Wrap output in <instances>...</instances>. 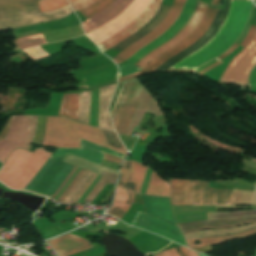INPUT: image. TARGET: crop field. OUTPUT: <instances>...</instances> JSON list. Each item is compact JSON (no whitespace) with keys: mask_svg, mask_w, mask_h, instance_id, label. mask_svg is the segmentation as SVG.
Segmentation results:
<instances>
[{"mask_svg":"<svg viewBox=\"0 0 256 256\" xmlns=\"http://www.w3.org/2000/svg\"><path fill=\"white\" fill-rule=\"evenodd\" d=\"M80 138L124 155L127 153L115 132L86 126L68 118L47 117L42 145L56 148H79Z\"/></svg>","mask_w":256,"mask_h":256,"instance_id":"8a807250","label":"crop field"},{"mask_svg":"<svg viewBox=\"0 0 256 256\" xmlns=\"http://www.w3.org/2000/svg\"><path fill=\"white\" fill-rule=\"evenodd\" d=\"M121 84L122 83L118 84L110 105L111 117L120 91ZM141 88L142 86L137 81V79L125 81L123 83L121 93L112 118L117 134H127ZM145 112L152 113L155 115V117L162 116V113L159 110L156 101L142 88L135 109V113L127 134L128 136L130 135L133 127L138 126Z\"/></svg>","mask_w":256,"mask_h":256,"instance_id":"ac0d7876","label":"crop field"},{"mask_svg":"<svg viewBox=\"0 0 256 256\" xmlns=\"http://www.w3.org/2000/svg\"><path fill=\"white\" fill-rule=\"evenodd\" d=\"M251 7H252V3L250 0H235V11H234V15H233L234 0H231L229 14H228L223 26L218 31L217 35L213 39H211L200 50L196 51L195 53H193L190 56L186 57L185 59L181 60L180 62H178L176 65H174L171 68L177 67L179 64H181L185 60L189 59L193 55L197 54L198 52L202 51L203 49H205L206 47L211 45L223 32L224 28L230 22L232 15H233L231 22L225 28L222 35L211 46H209L202 52L198 53L194 57L190 58L189 60L185 61L177 68L196 69V68L202 66L203 64L207 63L208 61L221 55L225 51H227L228 48L231 45H233L235 43V41L241 35V33L247 23V20L249 18V15L251 12Z\"/></svg>","mask_w":256,"mask_h":256,"instance_id":"34b2d1b8","label":"crop field"},{"mask_svg":"<svg viewBox=\"0 0 256 256\" xmlns=\"http://www.w3.org/2000/svg\"><path fill=\"white\" fill-rule=\"evenodd\" d=\"M50 155L43 148L35 149L33 154L14 150L0 170V181L11 189L23 190Z\"/></svg>","mask_w":256,"mask_h":256,"instance_id":"412701ff","label":"crop field"},{"mask_svg":"<svg viewBox=\"0 0 256 256\" xmlns=\"http://www.w3.org/2000/svg\"><path fill=\"white\" fill-rule=\"evenodd\" d=\"M147 167H142L137 162H124L116 188L115 198L112 208L107 214L119 219L123 217L131 206L133 193H139L142 180Z\"/></svg>","mask_w":256,"mask_h":256,"instance_id":"f4fd0767","label":"crop field"},{"mask_svg":"<svg viewBox=\"0 0 256 256\" xmlns=\"http://www.w3.org/2000/svg\"><path fill=\"white\" fill-rule=\"evenodd\" d=\"M37 116L15 115L11 117L5 140L0 139V161L4 163L15 148L31 152V137L36 129Z\"/></svg>","mask_w":256,"mask_h":256,"instance_id":"dd49c442","label":"crop field"},{"mask_svg":"<svg viewBox=\"0 0 256 256\" xmlns=\"http://www.w3.org/2000/svg\"><path fill=\"white\" fill-rule=\"evenodd\" d=\"M63 157H50L39 170V172L25 187V189L52 196V194L55 192V190L59 187V185L73 168V166L61 161ZM33 191L29 192L43 195ZM48 195L43 196H47L50 198V196Z\"/></svg>","mask_w":256,"mask_h":256,"instance_id":"e52e79f7","label":"crop field"},{"mask_svg":"<svg viewBox=\"0 0 256 256\" xmlns=\"http://www.w3.org/2000/svg\"><path fill=\"white\" fill-rule=\"evenodd\" d=\"M72 12L69 5L58 10L44 13H40L38 7L0 12V30L59 19Z\"/></svg>","mask_w":256,"mask_h":256,"instance_id":"d8731c3e","label":"crop field"},{"mask_svg":"<svg viewBox=\"0 0 256 256\" xmlns=\"http://www.w3.org/2000/svg\"><path fill=\"white\" fill-rule=\"evenodd\" d=\"M256 63V31L247 46L232 59L219 81L243 86Z\"/></svg>","mask_w":256,"mask_h":256,"instance_id":"5a996713","label":"crop field"},{"mask_svg":"<svg viewBox=\"0 0 256 256\" xmlns=\"http://www.w3.org/2000/svg\"><path fill=\"white\" fill-rule=\"evenodd\" d=\"M217 9L207 7L203 18L201 19L200 23L198 24L197 28L188 35L185 39H183L179 44L162 54L161 56L155 58L151 63H149L142 71L119 78L118 81H125L137 76H140L146 72H151L160 66L163 62L168 60L170 57L176 55L177 53L184 50L189 45L193 44L199 37H201L209 27Z\"/></svg>","mask_w":256,"mask_h":256,"instance_id":"3316defc","label":"crop field"},{"mask_svg":"<svg viewBox=\"0 0 256 256\" xmlns=\"http://www.w3.org/2000/svg\"><path fill=\"white\" fill-rule=\"evenodd\" d=\"M149 2L150 0H134V2L117 18L87 35L95 44H100L135 20L148 6Z\"/></svg>","mask_w":256,"mask_h":256,"instance_id":"28ad6ade","label":"crop field"},{"mask_svg":"<svg viewBox=\"0 0 256 256\" xmlns=\"http://www.w3.org/2000/svg\"><path fill=\"white\" fill-rule=\"evenodd\" d=\"M207 7V4L201 2L198 0L196 7L187 21V23L167 42L162 44L161 46L157 47L150 53H148L146 56H144L142 59H140L138 62L135 63L137 67H140L141 70L147 65L149 61H152L155 57L161 55L165 51H167L169 48L177 44L179 41H181L185 36L191 33V31L197 26L199 23L203 12L205 11Z\"/></svg>","mask_w":256,"mask_h":256,"instance_id":"d1516ede","label":"crop field"},{"mask_svg":"<svg viewBox=\"0 0 256 256\" xmlns=\"http://www.w3.org/2000/svg\"><path fill=\"white\" fill-rule=\"evenodd\" d=\"M192 205L234 206L233 190H214L208 182L192 181Z\"/></svg>","mask_w":256,"mask_h":256,"instance_id":"22f410ed","label":"crop field"},{"mask_svg":"<svg viewBox=\"0 0 256 256\" xmlns=\"http://www.w3.org/2000/svg\"><path fill=\"white\" fill-rule=\"evenodd\" d=\"M131 225L160 234L172 241L186 246V242L182 234L178 231L175 225L162 221L148 214L137 212Z\"/></svg>","mask_w":256,"mask_h":256,"instance_id":"cbeb9de0","label":"crop field"},{"mask_svg":"<svg viewBox=\"0 0 256 256\" xmlns=\"http://www.w3.org/2000/svg\"><path fill=\"white\" fill-rule=\"evenodd\" d=\"M185 0H175L165 20L151 33L122 51L113 61L118 64L125 61L129 56L135 53L137 50L145 46L147 43L164 33L177 19Z\"/></svg>","mask_w":256,"mask_h":256,"instance_id":"5142ce71","label":"crop field"},{"mask_svg":"<svg viewBox=\"0 0 256 256\" xmlns=\"http://www.w3.org/2000/svg\"><path fill=\"white\" fill-rule=\"evenodd\" d=\"M161 1L162 0H151L150 5L140 14V16L134 22L129 24L127 27L122 29L113 37L98 45L100 51L103 52L109 49L110 47L114 46L115 44L119 43L123 39L136 32L154 15V13L158 10Z\"/></svg>","mask_w":256,"mask_h":256,"instance_id":"d9b57169","label":"crop field"},{"mask_svg":"<svg viewBox=\"0 0 256 256\" xmlns=\"http://www.w3.org/2000/svg\"><path fill=\"white\" fill-rule=\"evenodd\" d=\"M256 222V216L242 219L197 221L179 224L183 234L204 229H229Z\"/></svg>","mask_w":256,"mask_h":256,"instance_id":"733c2abd","label":"crop field"},{"mask_svg":"<svg viewBox=\"0 0 256 256\" xmlns=\"http://www.w3.org/2000/svg\"><path fill=\"white\" fill-rule=\"evenodd\" d=\"M80 145H81L80 149H57L56 152L52 154V156H62V155H65L66 153H69V154H72L74 156L83 158V159L91 161V162H94L99 165H100L102 157H103V154L100 153L101 151L124 158L123 155H121L117 152H114L108 148H103L99 145L87 142L82 139H81Z\"/></svg>","mask_w":256,"mask_h":256,"instance_id":"4a817a6b","label":"crop field"},{"mask_svg":"<svg viewBox=\"0 0 256 256\" xmlns=\"http://www.w3.org/2000/svg\"><path fill=\"white\" fill-rule=\"evenodd\" d=\"M133 0H115L106 9L98 12L87 21L82 23L84 31L89 33L123 12Z\"/></svg>","mask_w":256,"mask_h":256,"instance_id":"bc2a9ffb","label":"crop field"},{"mask_svg":"<svg viewBox=\"0 0 256 256\" xmlns=\"http://www.w3.org/2000/svg\"><path fill=\"white\" fill-rule=\"evenodd\" d=\"M47 243L57 252L58 256H70L92 247L85 239L70 234L47 241Z\"/></svg>","mask_w":256,"mask_h":256,"instance_id":"214f88e0","label":"crop field"},{"mask_svg":"<svg viewBox=\"0 0 256 256\" xmlns=\"http://www.w3.org/2000/svg\"><path fill=\"white\" fill-rule=\"evenodd\" d=\"M146 213L175 224L169 198L141 194Z\"/></svg>","mask_w":256,"mask_h":256,"instance_id":"92a150f3","label":"crop field"},{"mask_svg":"<svg viewBox=\"0 0 256 256\" xmlns=\"http://www.w3.org/2000/svg\"><path fill=\"white\" fill-rule=\"evenodd\" d=\"M169 9L170 7L168 6L160 7L155 16L145 26H143L140 30H138L129 38L114 46L113 49L123 50L132 43L136 42L137 40L145 36L146 34H148L151 30H153L159 23H161L164 20Z\"/></svg>","mask_w":256,"mask_h":256,"instance_id":"dafd665d","label":"crop field"},{"mask_svg":"<svg viewBox=\"0 0 256 256\" xmlns=\"http://www.w3.org/2000/svg\"><path fill=\"white\" fill-rule=\"evenodd\" d=\"M172 205H191V181L171 179Z\"/></svg>","mask_w":256,"mask_h":256,"instance_id":"00972430","label":"crop field"},{"mask_svg":"<svg viewBox=\"0 0 256 256\" xmlns=\"http://www.w3.org/2000/svg\"><path fill=\"white\" fill-rule=\"evenodd\" d=\"M96 176L97 174L84 170L61 202L68 203L69 200L77 202Z\"/></svg>","mask_w":256,"mask_h":256,"instance_id":"a9b5d70f","label":"crop field"},{"mask_svg":"<svg viewBox=\"0 0 256 256\" xmlns=\"http://www.w3.org/2000/svg\"><path fill=\"white\" fill-rule=\"evenodd\" d=\"M115 85L100 89V104H99V127L113 130L111 120L108 114V105L113 94Z\"/></svg>","mask_w":256,"mask_h":256,"instance_id":"4177f3b9","label":"crop field"},{"mask_svg":"<svg viewBox=\"0 0 256 256\" xmlns=\"http://www.w3.org/2000/svg\"><path fill=\"white\" fill-rule=\"evenodd\" d=\"M79 97L80 93L64 94L60 112L58 115L68 116L77 120Z\"/></svg>","mask_w":256,"mask_h":256,"instance_id":"730fd06b","label":"crop field"},{"mask_svg":"<svg viewBox=\"0 0 256 256\" xmlns=\"http://www.w3.org/2000/svg\"><path fill=\"white\" fill-rule=\"evenodd\" d=\"M256 227L255 224L235 228V229H229V230H211V231H202V232H195L190 234H185V239H200V238H206L209 236H224L229 234H235L239 232H244L246 230L252 229Z\"/></svg>","mask_w":256,"mask_h":256,"instance_id":"eef30255","label":"crop field"},{"mask_svg":"<svg viewBox=\"0 0 256 256\" xmlns=\"http://www.w3.org/2000/svg\"><path fill=\"white\" fill-rule=\"evenodd\" d=\"M253 234H256V229L249 230L247 232L237 234V235H232V236L201 239L200 240L201 245H194V243H193L194 240H189L187 242H188L189 247L197 248V247L217 245V244H221V243H224V242H228V241L236 240V239L243 238V237H246V236H250V235H253Z\"/></svg>","mask_w":256,"mask_h":256,"instance_id":"ae1a2a85","label":"crop field"},{"mask_svg":"<svg viewBox=\"0 0 256 256\" xmlns=\"http://www.w3.org/2000/svg\"><path fill=\"white\" fill-rule=\"evenodd\" d=\"M148 195H159L169 197L170 189L167 183L163 182L156 174L153 172L151 177L149 187L147 190Z\"/></svg>","mask_w":256,"mask_h":256,"instance_id":"d3111659","label":"crop field"},{"mask_svg":"<svg viewBox=\"0 0 256 256\" xmlns=\"http://www.w3.org/2000/svg\"><path fill=\"white\" fill-rule=\"evenodd\" d=\"M116 177L117 175L115 174H110L102 171L101 179L97 182V184L94 186V188L91 190V192L88 194L84 201L91 202L106 183L114 185Z\"/></svg>","mask_w":256,"mask_h":256,"instance_id":"750c4746","label":"crop field"},{"mask_svg":"<svg viewBox=\"0 0 256 256\" xmlns=\"http://www.w3.org/2000/svg\"><path fill=\"white\" fill-rule=\"evenodd\" d=\"M207 220L214 219H230V218H241L256 215V211H241V212H210L206 213Z\"/></svg>","mask_w":256,"mask_h":256,"instance_id":"bd1437ed","label":"crop field"},{"mask_svg":"<svg viewBox=\"0 0 256 256\" xmlns=\"http://www.w3.org/2000/svg\"><path fill=\"white\" fill-rule=\"evenodd\" d=\"M38 0H0V11L38 6Z\"/></svg>","mask_w":256,"mask_h":256,"instance_id":"1d83c4d3","label":"crop field"},{"mask_svg":"<svg viewBox=\"0 0 256 256\" xmlns=\"http://www.w3.org/2000/svg\"><path fill=\"white\" fill-rule=\"evenodd\" d=\"M14 42L21 49L46 43L41 33L30 35V36L21 37V38H19L17 40H14Z\"/></svg>","mask_w":256,"mask_h":256,"instance_id":"120bbe31","label":"crop field"},{"mask_svg":"<svg viewBox=\"0 0 256 256\" xmlns=\"http://www.w3.org/2000/svg\"><path fill=\"white\" fill-rule=\"evenodd\" d=\"M90 92H82L78 120L88 124Z\"/></svg>","mask_w":256,"mask_h":256,"instance_id":"d32e631a","label":"crop field"},{"mask_svg":"<svg viewBox=\"0 0 256 256\" xmlns=\"http://www.w3.org/2000/svg\"><path fill=\"white\" fill-rule=\"evenodd\" d=\"M114 0H100L93 4L92 6L83 9L81 11H78L83 17L86 19L90 18L92 15H94L96 12L106 8L108 5H110ZM97 14V13H96Z\"/></svg>","mask_w":256,"mask_h":256,"instance_id":"5866460e","label":"crop field"},{"mask_svg":"<svg viewBox=\"0 0 256 256\" xmlns=\"http://www.w3.org/2000/svg\"><path fill=\"white\" fill-rule=\"evenodd\" d=\"M67 0H46L38 2L40 11H50L68 5Z\"/></svg>","mask_w":256,"mask_h":256,"instance_id":"028f5c9d","label":"crop field"},{"mask_svg":"<svg viewBox=\"0 0 256 256\" xmlns=\"http://www.w3.org/2000/svg\"><path fill=\"white\" fill-rule=\"evenodd\" d=\"M45 122H46V117L38 116L37 129H36L35 136L32 140V144H38V145L42 144L44 131H45Z\"/></svg>","mask_w":256,"mask_h":256,"instance_id":"e1f06a70","label":"crop field"},{"mask_svg":"<svg viewBox=\"0 0 256 256\" xmlns=\"http://www.w3.org/2000/svg\"><path fill=\"white\" fill-rule=\"evenodd\" d=\"M25 52L35 60L49 56L39 46L27 49Z\"/></svg>","mask_w":256,"mask_h":256,"instance_id":"0bd39190","label":"crop field"},{"mask_svg":"<svg viewBox=\"0 0 256 256\" xmlns=\"http://www.w3.org/2000/svg\"><path fill=\"white\" fill-rule=\"evenodd\" d=\"M137 71H140V69L136 68L135 66H133L131 64L122 66L119 68L118 78L128 75V74H131V73H134V72H137Z\"/></svg>","mask_w":256,"mask_h":256,"instance_id":"b80d0937","label":"crop field"},{"mask_svg":"<svg viewBox=\"0 0 256 256\" xmlns=\"http://www.w3.org/2000/svg\"><path fill=\"white\" fill-rule=\"evenodd\" d=\"M95 1H97V0H79L77 2L72 3L71 5H72L74 11L76 12V11L94 3Z\"/></svg>","mask_w":256,"mask_h":256,"instance_id":"c035e120","label":"crop field"},{"mask_svg":"<svg viewBox=\"0 0 256 256\" xmlns=\"http://www.w3.org/2000/svg\"><path fill=\"white\" fill-rule=\"evenodd\" d=\"M249 80H250V83L248 86L256 88V67L252 70Z\"/></svg>","mask_w":256,"mask_h":256,"instance_id":"c21b1889","label":"crop field"},{"mask_svg":"<svg viewBox=\"0 0 256 256\" xmlns=\"http://www.w3.org/2000/svg\"><path fill=\"white\" fill-rule=\"evenodd\" d=\"M167 252L170 256H180L178 251L176 250V248L170 249ZM167 252L165 251V252H163L159 255H156V256H168Z\"/></svg>","mask_w":256,"mask_h":256,"instance_id":"03da06ac","label":"crop field"},{"mask_svg":"<svg viewBox=\"0 0 256 256\" xmlns=\"http://www.w3.org/2000/svg\"><path fill=\"white\" fill-rule=\"evenodd\" d=\"M255 30V27L251 26L250 27V31L248 33V35L245 37V39L243 40V42L241 43V46L244 47V45L248 42V40L251 38V36L253 35Z\"/></svg>","mask_w":256,"mask_h":256,"instance_id":"b54c1fbb","label":"crop field"},{"mask_svg":"<svg viewBox=\"0 0 256 256\" xmlns=\"http://www.w3.org/2000/svg\"><path fill=\"white\" fill-rule=\"evenodd\" d=\"M77 168L74 167V169L71 171V173L67 176V178L64 180V182L61 184V186L58 188V190L54 193V195L51 197L54 199V197L57 195V193L60 191V189L63 187V185L66 183V181L69 179V177L74 173V171L76 170Z\"/></svg>","mask_w":256,"mask_h":256,"instance_id":"5d738f31","label":"crop field"},{"mask_svg":"<svg viewBox=\"0 0 256 256\" xmlns=\"http://www.w3.org/2000/svg\"><path fill=\"white\" fill-rule=\"evenodd\" d=\"M83 169L77 174V176L74 178V180L70 183V185L66 188V190L63 192V194L59 197L57 201H60L62 197L65 195V193L69 190V188L72 186V184L75 182V180L78 178V176L82 173Z\"/></svg>","mask_w":256,"mask_h":256,"instance_id":"d23c7cc5","label":"crop field"},{"mask_svg":"<svg viewBox=\"0 0 256 256\" xmlns=\"http://www.w3.org/2000/svg\"><path fill=\"white\" fill-rule=\"evenodd\" d=\"M236 47H237V45L234 44L226 53H224L223 55H221V56H219L217 58H219L221 60L222 58H224L227 55H229Z\"/></svg>","mask_w":256,"mask_h":256,"instance_id":"425ffa30","label":"crop field"},{"mask_svg":"<svg viewBox=\"0 0 256 256\" xmlns=\"http://www.w3.org/2000/svg\"><path fill=\"white\" fill-rule=\"evenodd\" d=\"M217 61H219V60L216 58V59H214L213 61L209 62L208 64H206V65H204V66H202V67L196 69L194 72H199V71H201L202 69H204L205 67H207V66H209V65H211V64H213V63H215V62H217Z\"/></svg>","mask_w":256,"mask_h":256,"instance_id":"25e5ab78","label":"crop field"},{"mask_svg":"<svg viewBox=\"0 0 256 256\" xmlns=\"http://www.w3.org/2000/svg\"><path fill=\"white\" fill-rule=\"evenodd\" d=\"M182 256H187L186 249L184 247L178 248Z\"/></svg>","mask_w":256,"mask_h":256,"instance_id":"73cf0c24","label":"crop field"},{"mask_svg":"<svg viewBox=\"0 0 256 256\" xmlns=\"http://www.w3.org/2000/svg\"><path fill=\"white\" fill-rule=\"evenodd\" d=\"M188 256H198L196 252L187 249Z\"/></svg>","mask_w":256,"mask_h":256,"instance_id":"89e229c0","label":"crop field"},{"mask_svg":"<svg viewBox=\"0 0 256 256\" xmlns=\"http://www.w3.org/2000/svg\"><path fill=\"white\" fill-rule=\"evenodd\" d=\"M219 0H212L210 5L217 6Z\"/></svg>","mask_w":256,"mask_h":256,"instance_id":"1f2cbd36","label":"crop field"},{"mask_svg":"<svg viewBox=\"0 0 256 256\" xmlns=\"http://www.w3.org/2000/svg\"><path fill=\"white\" fill-rule=\"evenodd\" d=\"M73 1H76V0H69L70 3L73 2Z\"/></svg>","mask_w":256,"mask_h":256,"instance_id":"dbb93151","label":"crop field"},{"mask_svg":"<svg viewBox=\"0 0 256 256\" xmlns=\"http://www.w3.org/2000/svg\"><path fill=\"white\" fill-rule=\"evenodd\" d=\"M199 254V253H198ZM199 256H204L203 254H199ZM207 256V255H206Z\"/></svg>","mask_w":256,"mask_h":256,"instance_id":"0fb4a251","label":"crop field"},{"mask_svg":"<svg viewBox=\"0 0 256 256\" xmlns=\"http://www.w3.org/2000/svg\"><path fill=\"white\" fill-rule=\"evenodd\" d=\"M40 1V0H39Z\"/></svg>","mask_w":256,"mask_h":256,"instance_id":"1d79db26","label":"crop field"}]
</instances>
